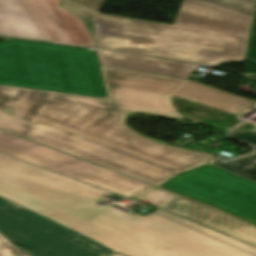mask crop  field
Returning <instances> with one entry per match:
<instances>
[{
	"mask_svg": "<svg viewBox=\"0 0 256 256\" xmlns=\"http://www.w3.org/2000/svg\"><path fill=\"white\" fill-rule=\"evenodd\" d=\"M108 100L0 86V129L160 185L213 159L142 137L122 112L183 118L177 96L234 115L252 100L189 80L101 66Z\"/></svg>",
	"mask_w": 256,
	"mask_h": 256,
	"instance_id": "1",
	"label": "crop field"
},
{
	"mask_svg": "<svg viewBox=\"0 0 256 256\" xmlns=\"http://www.w3.org/2000/svg\"><path fill=\"white\" fill-rule=\"evenodd\" d=\"M107 193L0 154V233L32 256H251Z\"/></svg>",
	"mask_w": 256,
	"mask_h": 256,
	"instance_id": "2",
	"label": "crop field"
},
{
	"mask_svg": "<svg viewBox=\"0 0 256 256\" xmlns=\"http://www.w3.org/2000/svg\"><path fill=\"white\" fill-rule=\"evenodd\" d=\"M251 17L183 0L173 25L96 13L97 47L215 66L243 60Z\"/></svg>",
	"mask_w": 256,
	"mask_h": 256,
	"instance_id": "3",
	"label": "crop field"
},
{
	"mask_svg": "<svg viewBox=\"0 0 256 256\" xmlns=\"http://www.w3.org/2000/svg\"><path fill=\"white\" fill-rule=\"evenodd\" d=\"M0 85L107 99L95 52L12 39L0 44Z\"/></svg>",
	"mask_w": 256,
	"mask_h": 256,
	"instance_id": "4",
	"label": "crop field"
},
{
	"mask_svg": "<svg viewBox=\"0 0 256 256\" xmlns=\"http://www.w3.org/2000/svg\"><path fill=\"white\" fill-rule=\"evenodd\" d=\"M61 0H0V36L91 46L80 19L58 8Z\"/></svg>",
	"mask_w": 256,
	"mask_h": 256,
	"instance_id": "5",
	"label": "crop field"
},
{
	"mask_svg": "<svg viewBox=\"0 0 256 256\" xmlns=\"http://www.w3.org/2000/svg\"><path fill=\"white\" fill-rule=\"evenodd\" d=\"M159 187L207 203L256 225V183L208 164Z\"/></svg>",
	"mask_w": 256,
	"mask_h": 256,
	"instance_id": "6",
	"label": "crop field"
},
{
	"mask_svg": "<svg viewBox=\"0 0 256 256\" xmlns=\"http://www.w3.org/2000/svg\"><path fill=\"white\" fill-rule=\"evenodd\" d=\"M0 152L129 198L152 187L1 131Z\"/></svg>",
	"mask_w": 256,
	"mask_h": 256,
	"instance_id": "7",
	"label": "crop field"
},
{
	"mask_svg": "<svg viewBox=\"0 0 256 256\" xmlns=\"http://www.w3.org/2000/svg\"><path fill=\"white\" fill-rule=\"evenodd\" d=\"M166 210L256 245V226L218 208L179 196Z\"/></svg>",
	"mask_w": 256,
	"mask_h": 256,
	"instance_id": "8",
	"label": "crop field"
},
{
	"mask_svg": "<svg viewBox=\"0 0 256 256\" xmlns=\"http://www.w3.org/2000/svg\"><path fill=\"white\" fill-rule=\"evenodd\" d=\"M100 63L104 66L144 71L186 79L196 65L124 54L97 49Z\"/></svg>",
	"mask_w": 256,
	"mask_h": 256,
	"instance_id": "9",
	"label": "crop field"
},
{
	"mask_svg": "<svg viewBox=\"0 0 256 256\" xmlns=\"http://www.w3.org/2000/svg\"><path fill=\"white\" fill-rule=\"evenodd\" d=\"M176 196L175 195H172V194H169V193H166L164 191H161V190H158V189H155V188H152L136 197H134L133 199L135 200H144V201H147L148 204H151V205H154V206H157L159 207L158 209H156L155 213H158L160 215H163L165 217H168L172 220H175L177 222H180L182 224H185L187 226H190L198 231H201L209 236H212L216 239H219L223 242H226L230 245H233L239 249H242L246 252H249L253 255H256V247H253L251 245H248V244H245L243 242H240V241H237L235 239H232L230 237H227L225 235H222L220 233H217L215 231H212V230H209L207 228H204L202 226H199L197 224H194L192 222H189L187 220H184L182 218H179L177 216H174V215H171L169 213H166L164 211H162L161 209L167 204L169 203L173 198H175Z\"/></svg>",
	"mask_w": 256,
	"mask_h": 256,
	"instance_id": "10",
	"label": "crop field"
},
{
	"mask_svg": "<svg viewBox=\"0 0 256 256\" xmlns=\"http://www.w3.org/2000/svg\"><path fill=\"white\" fill-rule=\"evenodd\" d=\"M230 137L241 139L256 146V132L237 133L230 132ZM212 165L235 172L243 177L256 181V154L231 162H223L221 159L211 161Z\"/></svg>",
	"mask_w": 256,
	"mask_h": 256,
	"instance_id": "11",
	"label": "crop field"
},
{
	"mask_svg": "<svg viewBox=\"0 0 256 256\" xmlns=\"http://www.w3.org/2000/svg\"><path fill=\"white\" fill-rule=\"evenodd\" d=\"M104 0H63L61 7L90 21Z\"/></svg>",
	"mask_w": 256,
	"mask_h": 256,
	"instance_id": "12",
	"label": "crop field"
},
{
	"mask_svg": "<svg viewBox=\"0 0 256 256\" xmlns=\"http://www.w3.org/2000/svg\"><path fill=\"white\" fill-rule=\"evenodd\" d=\"M202 3L234 11L247 16H254L256 4L246 0H196Z\"/></svg>",
	"mask_w": 256,
	"mask_h": 256,
	"instance_id": "13",
	"label": "crop field"
},
{
	"mask_svg": "<svg viewBox=\"0 0 256 256\" xmlns=\"http://www.w3.org/2000/svg\"><path fill=\"white\" fill-rule=\"evenodd\" d=\"M245 60L256 64V16L253 23L251 38H249L248 46L245 54Z\"/></svg>",
	"mask_w": 256,
	"mask_h": 256,
	"instance_id": "14",
	"label": "crop field"
},
{
	"mask_svg": "<svg viewBox=\"0 0 256 256\" xmlns=\"http://www.w3.org/2000/svg\"><path fill=\"white\" fill-rule=\"evenodd\" d=\"M22 255L15 247L0 236V256H20Z\"/></svg>",
	"mask_w": 256,
	"mask_h": 256,
	"instance_id": "15",
	"label": "crop field"
},
{
	"mask_svg": "<svg viewBox=\"0 0 256 256\" xmlns=\"http://www.w3.org/2000/svg\"><path fill=\"white\" fill-rule=\"evenodd\" d=\"M114 256H123V255H121V254H118V255H114Z\"/></svg>",
	"mask_w": 256,
	"mask_h": 256,
	"instance_id": "16",
	"label": "crop field"
},
{
	"mask_svg": "<svg viewBox=\"0 0 256 256\" xmlns=\"http://www.w3.org/2000/svg\"><path fill=\"white\" fill-rule=\"evenodd\" d=\"M249 1H253V2H256V0H249Z\"/></svg>",
	"mask_w": 256,
	"mask_h": 256,
	"instance_id": "17",
	"label": "crop field"
},
{
	"mask_svg": "<svg viewBox=\"0 0 256 256\" xmlns=\"http://www.w3.org/2000/svg\"><path fill=\"white\" fill-rule=\"evenodd\" d=\"M22 256H25V255H22Z\"/></svg>",
	"mask_w": 256,
	"mask_h": 256,
	"instance_id": "18",
	"label": "crop field"
}]
</instances>
